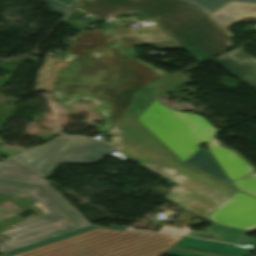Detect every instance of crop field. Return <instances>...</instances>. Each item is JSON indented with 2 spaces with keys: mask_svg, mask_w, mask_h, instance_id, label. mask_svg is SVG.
Here are the masks:
<instances>
[{
  "mask_svg": "<svg viewBox=\"0 0 256 256\" xmlns=\"http://www.w3.org/2000/svg\"><path fill=\"white\" fill-rule=\"evenodd\" d=\"M67 48L76 56L57 72L51 92L62 105L92 101L109 130L146 83L168 74L138 60H124L120 45L165 42L157 26L81 32Z\"/></svg>",
  "mask_w": 256,
  "mask_h": 256,
  "instance_id": "obj_1",
  "label": "crop field"
},
{
  "mask_svg": "<svg viewBox=\"0 0 256 256\" xmlns=\"http://www.w3.org/2000/svg\"><path fill=\"white\" fill-rule=\"evenodd\" d=\"M76 7L98 18L131 13L148 16L197 61L232 47L211 20L183 0H82Z\"/></svg>",
  "mask_w": 256,
  "mask_h": 256,
  "instance_id": "obj_2",
  "label": "crop field"
},
{
  "mask_svg": "<svg viewBox=\"0 0 256 256\" xmlns=\"http://www.w3.org/2000/svg\"><path fill=\"white\" fill-rule=\"evenodd\" d=\"M180 239L98 228L14 256H161Z\"/></svg>",
  "mask_w": 256,
  "mask_h": 256,
  "instance_id": "obj_3",
  "label": "crop field"
},
{
  "mask_svg": "<svg viewBox=\"0 0 256 256\" xmlns=\"http://www.w3.org/2000/svg\"><path fill=\"white\" fill-rule=\"evenodd\" d=\"M0 188L17 190L8 191L0 189V201L11 198L14 203L21 208L43 203L46 206L37 209V217L26 220L20 216L0 221V234H6L12 239L0 243V252H4L40 239H44L74 228L76 224L69 219L61 209L38 187L0 182ZM58 221L64 222L62 224ZM12 225L13 230L3 229L5 226Z\"/></svg>",
  "mask_w": 256,
  "mask_h": 256,
  "instance_id": "obj_4",
  "label": "crop field"
},
{
  "mask_svg": "<svg viewBox=\"0 0 256 256\" xmlns=\"http://www.w3.org/2000/svg\"><path fill=\"white\" fill-rule=\"evenodd\" d=\"M184 162L219 132L202 116L171 110L154 100L137 118Z\"/></svg>",
  "mask_w": 256,
  "mask_h": 256,
  "instance_id": "obj_5",
  "label": "crop field"
},
{
  "mask_svg": "<svg viewBox=\"0 0 256 256\" xmlns=\"http://www.w3.org/2000/svg\"><path fill=\"white\" fill-rule=\"evenodd\" d=\"M114 151L115 147L95 139L57 136L10 158L48 178L59 163H93Z\"/></svg>",
  "mask_w": 256,
  "mask_h": 256,
  "instance_id": "obj_6",
  "label": "crop field"
},
{
  "mask_svg": "<svg viewBox=\"0 0 256 256\" xmlns=\"http://www.w3.org/2000/svg\"><path fill=\"white\" fill-rule=\"evenodd\" d=\"M106 136L114 138L110 144L122 153L165 177L184 164L126 112Z\"/></svg>",
  "mask_w": 256,
  "mask_h": 256,
  "instance_id": "obj_7",
  "label": "crop field"
},
{
  "mask_svg": "<svg viewBox=\"0 0 256 256\" xmlns=\"http://www.w3.org/2000/svg\"><path fill=\"white\" fill-rule=\"evenodd\" d=\"M168 178L179 184L166 197L201 219L236 191L185 164Z\"/></svg>",
  "mask_w": 256,
  "mask_h": 256,
  "instance_id": "obj_8",
  "label": "crop field"
},
{
  "mask_svg": "<svg viewBox=\"0 0 256 256\" xmlns=\"http://www.w3.org/2000/svg\"><path fill=\"white\" fill-rule=\"evenodd\" d=\"M207 218L223 225L253 229L256 227V199L237 191Z\"/></svg>",
  "mask_w": 256,
  "mask_h": 256,
  "instance_id": "obj_9",
  "label": "crop field"
},
{
  "mask_svg": "<svg viewBox=\"0 0 256 256\" xmlns=\"http://www.w3.org/2000/svg\"><path fill=\"white\" fill-rule=\"evenodd\" d=\"M186 81V75L177 71L171 75L150 82L138 94L127 110L137 118L156 96Z\"/></svg>",
  "mask_w": 256,
  "mask_h": 256,
  "instance_id": "obj_10",
  "label": "crop field"
},
{
  "mask_svg": "<svg viewBox=\"0 0 256 256\" xmlns=\"http://www.w3.org/2000/svg\"><path fill=\"white\" fill-rule=\"evenodd\" d=\"M208 16L224 32L232 36L228 30L232 25L256 22V4L229 2Z\"/></svg>",
  "mask_w": 256,
  "mask_h": 256,
  "instance_id": "obj_11",
  "label": "crop field"
},
{
  "mask_svg": "<svg viewBox=\"0 0 256 256\" xmlns=\"http://www.w3.org/2000/svg\"><path fill=\"white\" fill-rule=\"evenodd\" d=\"M213 60L256 89L255 57L235 49Z\"/></svg>",
  "mask_w": 256,
  "mask_h": 256,
  "instance_id": "obj_12",
  "label": "crop field"
},
{
  "mask_svg": "<svg viewBox=\"0 0 256 256\" xmlns=\"http://www.w3.org/2000/svg\"><path fill=\"white\" fill-rule=\"evenodd\" d=\"M210 151L222 166L230 181L254 171V168L235 153L217 144L213 138L207 143Z\"/></svg>",
  "mask_w": 256,
  "mask_h": 256,
  "instance_id": "obj_13",
  "label": "crop field"
},
{
  "mask_svg": "<svg viewBox=\"0 0 256 256\" xmlns=\"http://www.w3.org/2000/svg\"><path fill=\"white\" fill-rule=\"evenodd\" d=\"M174 246L221 256H245L252 250L251 248L243 246L195 239L186 236Z\"/></svg>",
  "mask_w": 256,
  "mask_h": 256,
  "instance_id": "obj_14",
  "label": "crop field"
},
{
  "mask_svg": "<svg viewBox=\"0 0 256 256\" xmlns=\"http://www.w3.org/2000/svg\"><path fill=\"white\" fill-rule=\"evenodd\" d=\"M211 234L207 232H195L191 231L187 235L200 237L202 235L210 236L211 239L236 243L240 245L256 247V239H249L242 234V231L249 232L247 230L237 229L233 227L223 226L212 223L208 228Z\"/></svg>",
  "mask_w": 256,
  "mask_h": 256,
  "instance_id": "obj_15",
  "label": "crop field"
},
{
  "mask_svg": "<svg viewBox=\"0 0 256 256\" xmlns=\"http://www.w3.org/2000/svg\"><path fill=\"white\" fill-rule=\"evenodd\" d=\"M185 163L219 179L220 181L232 186L233 184L229 181L225 172L218 164L216 159L210 153V151L200 149L191 158H189Z\"/></svg>",
  "mask_w": 256,
  "mask_h": 256,
  "instance_id": "obj_16",
  "label": "crop field"
},
{
  "mask_svg": "<svg viewBox=\"0 0 256 256\" xmlns=\"http://www.w3.org/2000/svg\"><path fill=\"white\" fill-rule=\"evenodd\" d=\"M40 176L17 162L3 161L0 163V180L30 184Z\"/></svg>",
  "mask_w": 256,
  "mask_h": 256,
  "instance_id": "obj_17",
  "label": "crop field"
},
{
  "mask_svg": "<svg viewBox=\"0 0 256 256\" xmlns=\"http://www.w3.org/2000/svg\"><path fill=\"white\" fill-rule=\"evenodd\" d=\"M98 227H101V226H98V225L91 226L90 224H88V225L82 226L80 228H77V229H74V230H71V231H68V232H65V233H62V234H59V235L41 240V241H37V242L31 243V244H28V245H25V246H22V247L4 252L6 254H3L1 256H11L13 254H16V253H19V252H22V251H26V250H29V249H32V248H35V247H38V246H42V245H45V244H48V243H51V242H55V241H58V240H61V239H64V238H67V237H70V236H73V235H76V234H79V233H83V232H86V231H89V230H92V229H95V228H98ZM109 228L124 230L127 227H120V226L112 225Z\"/></svg>",
  "mask_w": 256,
  "mask_h": 256,
  "instance_id": "obj_18",
  "label": "crop field"
},
{
  "mask_svg": "<svg viewBox=\"0 0 256 256\" xmlns=\"http://www.w3.org/2000/svg\"><path fill=\"white\" fill-rule=\"evenodd\" d=\"M32 185H39L61 208H63L80 226L88 224L71 205L62 198L42 177Z\"/></svg>",
  "mask_w": 256,
  "mask_h": 256,
  "instance_id": "obj_19",
  "label": "crop field"
},
{
  "mask_svg": "<svg viewBox=\"0 0 256 256\" xmlns=\"http://www.w3.org/2000/svg\"><path fill=\"white\" fill-rule=\"evenodd\" d=\"M75 55L68 54L61 64H58L59 58L48 56L42 63L38 83H53L57 70L62 69Z\"/></svg>",
  "mask_w": 256,
  "mask_h": 256,
  "instance_id": "obj_20",
  "label": "crop field"
},
{
  "mask_svg": "<svg viewBox=\"0 0 256 256\" xmlns=\"http://www.w3.org/2000/svg\"><path fill=\"white\" fill-rule=\"evenodd\" d=\"M237 190L256 197V172L232 181Z\"/></svg>",
  "mask_w": 256,
  "mask_h": 256,
  "instance_id": "obj_21",
  "label": "crop field"
},
{
  "mask_svg": "<svg viewBox=\"0 0 256 256\" xmlns=\"http://www.w3.org/2000/svg\"><path fill=\"white\" fill-rule=\"evenodd\" d=\"M188 1L200 7L202 11L207 14L229 0H188ZM234 1L256 2V0H234Z\"/></svg>",
  "mask_w": 256,
  "mask_h": 256,
  "instance_id": "obj_22",
  "label": "crop field"
},
{
  "mask_svg": "<svg viewBox=\"0 0 256 256\" xmlns=\"http://www.w3.org/2000/svg\"><path fill=\"white\" fill-rule=\"evenodd\" d=\"M85 13L76 10V9H72V11L68 14V16L65 18V20L63 22L67 23L68 25H70L71 27H73L74 29L80 31L88 26L80 23V22H76V20H74L75 18L83 15Z\"/></svg>",
  "mask_w": 256,
  "mask_h": 256,
  "instance_id": "obj_23",
  "label": "crop field"
},
{
  "mask_svg": "<svg viewBox=\"0 0 256 256\" xmlns=\"http://www.w3.org/2000/svg\"><path fill=\"white\" fill-rule=\"evenodd\" d=\"M43 1L48 6L50 12H53L56 14L62 15L68 9V7H66L58 2H55L53 0H43Z\"/></svg>",
  "mask_w": 256,
  "mask_h": 256,
  "instance_id": "obj_24",
  "label": "crop field"
},
{
  "mask_svg": "<svg viewBox=\"0 0 256 256\" xmlns=\"http://www.w3.org/2000/svg\"><path fill=\"white\" fill-rule=\"evenodd\" d=\"M166 255H171V256H213V255L202 254V253L186 251V250H181V249H175V248H172L169 252L166 253Z\"/></svg>",
  "mask_w": 256,
  "mask_h": 256,
  "instance_id": "obj_25",
  "label": "crop field"
},
{
  "mask_svg": "<svg viewBox=\"0 0 256 256\" xmlns=\"http://www.w3.org/2000/svg\"><path fill=\"white\" fill-rule=\"evenodd\" d=\"M53 84H38L36 90L50 91Z\"/></svg>",
  "mask_w": 256,
  "mask_h": 256,
  "instance_id": "obj_26",
  "label": "crop field"
},
{
  "mask_svg": "<svg viewBox=\"0 0 256 256\" xmlns=\"http://www.w3.org/2000/svg\"><path fill=\"white\" fill-rule=\"evenodd\" d=\"M59 1L71 6L76 0H59Z\"/></svg>",
  "mask_w": 256,
  "mask_h": 256,
  "instance_id": "obj_27",
  "label": "crop field"
}]
</instances>
